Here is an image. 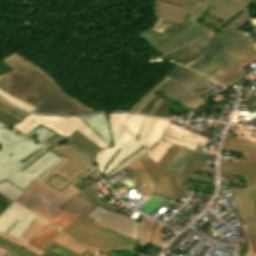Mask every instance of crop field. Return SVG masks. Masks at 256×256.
<instances>
[{
    "label": "crop field",
    "mask_w": 256,
    "mask_h": 256,
    "mask_svg": "<svg viewBox=\"0 0 256 256\" xmlns=\"http://www.w3.org/2000/svg\"><path fill=\"white\" fill-rule=\"evenodd\" d=\"M0 94H1L3 97H5L8 101H10L11 103H13V104L19 106L20 108H22V109H24V110L33 111V110L36 109V107L31 106V105H29V104H26V103H24V102H22V101H20V100H18V99H16V98L12 97L11 95H9L8 93H6V92H4V91H2V90H0Z\"/></svg>",
    "instance_id": "crop-field-43"
},
{
    "label": "crop field",
    "mask_w": 256,
    "mask_h": 256,
    "mask_svg": "<svg viewBox=\"0 0 256 256\" xmlns=\"http://www.w3.org/2000/svg\"><path fill=\"white\" fill-rule=\"evenodd\" d=\"M6 253H7V251H5V250H3V249L0 248V256H3V255L6 254Z\"/></svg>",
    "instance_id": "crop-field-54"
},
{
    "label": "crop field",
    "mask_w": 256,
    "mask_h": 256,
    "mask_svg": "<svg viewBox=\"0 0 256 256\" xmlns=\"http://www.w3.org/2000/svg\"><path fill=\"white\" fill-rule=\"evenodd\" d=\"M149 150L142 148L141 150H139L136 154H134L133 156L129 157L128 159H126L124 162H122L119 166H117L113 171H111L108 175L105 176L104 180L113 176V174L115 172H117L118 170L127 167L130 163L136 161L137 159L141 158L143 155H145L146 153H148Z\"/></svg>",
    "instance_id": "crop-field-38"
},
{
    "label": "crop field",
    "mask_w": 256,
    "mask_h": 256,
    "mask_svg": "<svg viewBox=\"0 0 256 256\" xmlns=\"http://www.w3.org/2000/svg\"><path fill=\"white\" fill-rule=\"evenodd\" d=\"M160 96L166 98L167 100H166L152 115H154V116L169 117L170 114L168 113V106L171 105V103H169L168 101H169V100H172V99H170V98H168V97H166V96H164V95H162V94L159 95V96H156L154 99H152V100L145 106V108L142 110V112H141V111H140V112H141V113L146 112V110L148 109V107L151 106V104H152L154 101H156V99H157L158 97H160ZM173 101H174V100H173ZM174 102H176V101H174ZM178 105L182 106L183 108H185V109L188 110L189 112H192V111H193V110H191V109H189V108H187V107H185V106H183V105H181V104H178Z\"/></svg>",
    "instance_id": "crop-field-33"
},
{
    "label": "crop field",
    "mask_w": 256,
    "mask_h": 256,
    "mask_svg": "<svg viewBox=\"0 0 256 256\" xmlns=\"http://www.w3.org/2000/svg\"><path fill=\"white\" fill-rule=\"evenodd\" d=\"M0 199H2V200H4V201H9V199H7L6 197H4V196H2V195H0ZM9 203H13L12 201L11 202H9Z\"/></svg>",
    "instance_id": "crop-field-53"
},
{
    "label": "crop field",
    "mask_w": 256,
    "mask_h": 256,
    "mask_svg": "<svg viewBox=\"0 0 256 256\" xmlns=\"http://www.w3.org/2000/svg\"><path fill=\"white\" fill-rule=\"evenodd\" d=\"M34 215L30 213V215L23 221H17L7 232L6 234L12 235L14 237L19 238L23 230L27 227V225L31 222Z\"/></svg>",
    "instance_id": "crop-field-37"
},
{
    "label": "crop field",
    "mask_w": 256,
    "mask_h": 256,
    "mask_svg": "<svg viewBox=\"0 0 256 256\" xmlns=\"http://www.w3.org/2000/svg\"><path fill=\"white\" fill-rule=\"evenodd\" d=\"M148 220V217L141 215L137 224H136V240H138L140 245L144 244L145 235H144V223Z\"/></svg>",
    "instance_id": "crop-field-42"
},
{
    "label": "crop field",
    "mask_w": 256,
    "mask_h": 256,
    "mask_svg": "<svg viewBox=\"0 0 256 256\" xmlns=\"http://www.w3.org/2000/svg\"><path fill=\"white\" fill-rule=\"evenodd\" d=\"M48 150L63 157L64 159L41 182L35 179L23 190L25 194L15 201L29 211L34 209L43 199L48 202L59 192L45 184L55 174L71 183L85 172V170L80 168V166L66 159L54 150L50 148Z\"/></svg>",
    "instance_id": "crop-field-5"
},
{
    "label": "crop field",
    "mask_w": 256,
    "mask_h": 256,
    "mask_svg": "<svg viewBox=\"0 0 256 256\" xmlns=\"http://www.w3.org/2000/svg\"><path fill=\"white\" fill-rule=\"evenodd\" d=\"M182 28H183V25L157 17L155 24L152 25L150 29L164 33V34H172V33L179 32Z\"/></svg>",
    "instance_id": "crop-field-28"
},
{
    "label": "crop field",
    "mask_w": 256,
    "mask_h": 256,
    "mask_svg": "<svg viewBox=\"0 0 256 256\" xmlns=\"http://www.w3.org/2000/svg\"><path fill=\"white\" fill-rule=\"evenodd\" d=\"M85 216L96 220L94 224L100 227L106 228L129 238L134 239L135 237V224L137 221L135 219L106 210L98 205Z\"/></svg>",
    "instance_id": "crop-field-9"
},
{
    "label": "crop field",
    "mask_w": 256,
    "mask_h": 256,
    "mask_svg": "<svg viewBox=\"0 0 256 256\" xmlns=\"http://www.w3.org/2000/svg\"><path fill=\"white\" fill-rule=\"evenodd\" d=\"M230 193L243 223L248 227L256 253V184L246 190L231 191Z\"/></svg>",
    "instance_id": "crop-field-10"
},
{
    "label": "crop field",
    "mask_w": 256,
    "mask_h": 256,
    "mask_svg": "<svg viewBox=\"0 0 256 256\" xmlns=\"http://www.w3.org/2000/svg\"><path fill=\"white\" fill-rule=\"evenodd\" d=\"M53 241H55L56 243L80 254L83 255L85 252H87L88 250H85L83 248H80L79 246L71 243L69 240L63 238L62 236H60L59 234L53 239Z\"/></svg>",
    "instance_id": "crop-field-41"
},
{
    "label": "crop field",
    "mask_w": 256,
    "mask_h": 256,
    "mask_svg": "<svg viewBox=\"0 0 256 256\" xmlns=\"http://www.w3.org/2000/svg\"><path fill=\"white\" fill-rule=\"evenodd\" d=\"M170 1H174V2L184 4V5H187V6H191V7L194 5V2L189 1V0H170Z\"/></svg>",
    "instance_id": "crop-field-50"
},
{
    "label": "crop field",
    "mask_w": 256,
    "mask_h": 256,
    "mask_svg": "<svg viewBox=\"0 0 256 256\" xmlns=\"http://www.w3.org/2000/svg\"><path fill=\"white\" fill-rule=\"evenodd\" d=\"M247 22L249 20L244 14L213 37L198 52L205 58L189 68L213 78L220 75L219 71L255 54L256 52L247 44L251 41L238 31Z\"/></svg>",
    "instance_id": "crop-field-4"
},
{
    "label": "crop field",
    "mask_w": 256,
    "mask_h": 256,
    "mask_svg": "<svg viewBox=\"0 0 256 256\" xmlns=\"http://www.w3.org/2000/svg\"><path fill=\"white\" fill-rule=\"evenodd\" d=\"M0 110L6 114L7 116L11 117L12 119L18 121L22 119L27 113L17 110L15 107L9 105L4 100L0 98Z\"/></svg>",
    "instance_id": "crop-field-35"
},
{
    "label": "crop field",
    "mask_w": 256,
    "mask_h": 256,
    "mask_svg": "<svg viewBox=\"0 0 256 256\" xmlns=\"http://www.w3.org/2000/svg\"><path fill=\"white\" fill-rule=\"evenodd\" d=\"M154 13L156 16H160L183 25L191 15V13L187 11L159 3H154Z\"/></svg>",
    "instance_id": "crop-field-25"
},
{
    "label": "crop field",
    "mask_w": 256,
    "mask_h": 256,
    "mask_svg": "<svg viewBox=\"0 0 256 256\" xmlns=\"http://www.w3.org/2000/svg\"><path fill=\"white\" fill-rule=\"evenodd\" d=\"M165 225L149 218V220L145 223V235L146 241L144 247H147L148 243L164 248L167 243L159 240L163 235L160 233ZM156 229V231H155Z\"/></svg>",
    "instance_id": "crop-field-26"
},
{
    "label": "crop field",
    "mask_w": 256,
    "mask_h": 256,
    "mask_svg": "<svg viewBox=\"0 0 256 256\" xmlns=\"http://www.w3.org/2000/svg\"><path fill=\"white\" fill-rule=\"evenodd\" d=\"M2 62L12 70L0 76V88L38 107L35 112L59 114L100 112L69 96L50 73L17 52L3 58Z\"/></svg>",
    "instance_id": "crop-field-2"
},
{
    "label": "crop field",
    "mask_w": 256,
    "mask_h": 256,
    "mask_svg": "<svg viewBox=\"0 0 256 256\" xmlns=\"http://www.w3.org/2000/svg\"><path fill=\"white\" fill-rule=\"evenodd\" d=\"M63 142L71 143L80 149L84 150L91 156L95 153L99 152L101 149L92 144L90 141H88L86 138H84L79 133H75L70 138H62L58 135L52 137L51 139L47 140L44 144L52 145V144H60Z\"/></svg>",
    "instance_id": "crop-field-18"
},
{
    "label": "crop field",
    "mask_w": 256,
    "mask_h": 256,
    "mask_svg": "<svg viewBox=\"0 0 256 256\" xmlns=\"http://www.w3.org/2000/svg\"><path fill=\"white\" fill-rule=\"evenodd\" d=\"M95 206H96V204L87 203L75 196L73 198H71L68 202H66L59 209L79 213L81 215L78 218H76L73 222H71L69 225H67L64 229H62L61 231L66 233L77 222H79L82 218H84L85 217L84 215L87 214Z\"/></svg>",
    "instance_id": "crop-field-20"
},
{
    "label": "crop field",
    "mask_w": 256,
    "mask_h": 256,
    "mask_svg": "<svg viewBox=\"0 0 256 256\" xmlns=\"http://www.w3.org/2000/svg\"><path fill=\"white\" fill-rule=\"evenodd\" d=\"M192 152L193 151H191V150H186V149L181 148L180 151L178 152V154L169 163L167 168L181 172V170L187 163L188 159L191 157Z\"/></svg>",
    "instance_id": "crop-field-29"
},
{
    "label": "crop field",
    "mask_w": 256,
    "mask_h": 256,
    "mask_svg": "<svg viewBox=\"0 0 256 256\" xmlns=\"http://www.w3.org/2000/svg\"><path fill=\"white\" fill-rule=\"evenodd\" d=\"M235 1L240 2V3H243V4H245V5L248 6V4H249V2H250L251 0H235Z\"/></svg>",
    "instance_id": "crop-field-52"
},
{
    "label": "crop field",
    "mask_w": 256,
    "mask_h": 256,
    "mask_svg": "<svg viewBox=\"0 0 256 256\" xmlns=\"http://www.w3.org/2000/svg\"><path fill=\"white\" fill-rule=\"evenodd\" d=\"M50 148L64 155L66 158L72 160L86 170L94 167L91 158L88 157L89 155L87 156L70 145L63 144L59 146H51Z\"/></svg>",
    "instance_id": "crop-field-19"
},
{
    "label": "crop field",
    "mask_w": 256,
    "mask_h": 256,
    "mask_svg": "<svg viewBox=\"0 0 256 256\" xmlns=\"http://www.w3.org/2000/svg\"><path fill=\"white\" fill-rule=\"evenodd\" d=\"M113 146L109 147L79 117L41 116L30 114L12 128L27 135L36 134L38 142L58 134L70 137L76 131L103 150L93 160L98 173L108 174L142 147L151 149L166 131L171 121L128 113L107 114Z\"/></svg>",
    "instance_id": "crop-field-1"
},
{
    "label": "crop field",
    "mask_w": 256,
    "mask_h": 256,
    "mask_svg": "<svg viewBox=\"0 0 256 256\" xmlns=\"http://www.w3.org/2000/svg\"><path fill=\"white\" fill-rule=\"evenodd\" d=\"M104 252H107L116 256H134L137 254L133 251L130 252L129 250H126V249H115V250H108Z\"/></svg>",
    "instance_id": "crop-field-45"
},
{
    "label": "crop field",
    "mask_w": 256,
    "mask_h": 256,
    "mask_svg": "<svg viewBox=\"0 0 256 256\" xmlns=\"http://www.w3.org/2000/svg\"><path fill=\"white\" fill-rule=\"evenodd\" d=\"M165 136H168L170 138H173V139H177V140H180V141H183V142H187V143H190V144H195V145H200V146H204L205 147V144H201V143H198V142H195V141H191V140H188V139H185L175 133H172V132H169L167 131L165 133Z\"/></svg>",
    "instance_id": "crop-field-47"
},
{
    "label": "crop field",
    "mask_w": 256,
    "mask_h": 256,
    "mask_svg": "<svg viewBox=\"0 0 256 256\" xmlns=\"http://www.w3.org/2000/svg\"><path fill=\"white\" fill-rule=\"evenodd\" d=\"M109 145H112L106 114L80 117Z\"/></svg>",
    "instance_id": "crop-field-21"
},
{
    "label": "crop field",
    "mask_w": 256,
    "mask_h": 256,
    "mask_svg": "<svg viewBox=\"0 0 256 256\" xmlns=\"http://www.w3.org/2000/svg\"><path fill=\"white\" fill-rule=\"evenodd\" d=\"M58 233V230L48 224L29 244L42 249Z\"/></svg>",
    "instance_id": "crop-field-27"
},
{
    "label": "crop field",
    "mask_w": 256,
    "mask_h": 256,
    "mask_svg": "<svg viewBox=\"0 0 256 256\" xmlns=\"http://www.w3.org/2000/svg\"><path fill=\"white\" fill-rule=\"evenodd\" d=\"M79 198L91 202V203H96L99 204L102 200L97 196L95 191L92 189V187L89 185L83 190H81L78 194H76Z\"/></svg>",
    "instance_id": "crop-field-39"
},
{
    "label": "crop field",
    "mask_w": 256,
    "mask_h": 256,
    "mask_svg": "<svg viewBox=\"0 0 256 256\" xmlns=\"http://www.w3.org/2000/svg\"><path fill=\"white\" fill-rule=\"evenodd\" d=\"M188 183V181L162 174L155 193L175 202Z\"/></svg>",
    "instance_id": "crop-field-15"
},
{
    "label": "crop field",
    "mask_w": 256,
    "mask_h": 256,
    "mask_svg": "<svg viewBox=\"0 0 256 256\" xmlns=\"http://www.w3.org/2000/svg\"><path fill=\"white\" fill-rule=\"evenodd\" d=\"M46 184L50 185L51 187L57 189V190H62L64 187L69 185L70 183L62 180L58 176H54L51 180H49Z\"/></svg>",
    "instance_id": "crop-field-44"
},
{
    "label": "crop field",
    "mask_w": 256,
    "mask_h": 256,
    "mask_svg": "<svg viewBox=\"0 0 256 256\" xmlns=\"http://www.w3.org/2000/svg\"><path fill=\"white\" fill-rule=\"evenodd\" d=\"M156 2L164 3V4H167V5L177 7V8H180V9H184V10H188V11L191 9V7L180 5V4L170 2V1H167V0H156Z\"/></svg>",
    "instance_id": "crop-field-49"
},
{
    "label": "crop field",
    "mask_w": 256,
    "mask_h": 256,
    "mask_svg": "<svg viewBox=\"0 0 256 256\" xmlns=\"http://www.w3.org/2000/svg\"><path fill=\"white\" fill-rule=\"evenodd\" d=\"M255 60H256V54L230 68H227L221 71L222 75L213 78V80H215L216 82L220 83L223 86H227L229 84H233L237 81H240L246 77V74L242 68L252 63Z\"/></svg>",
    "instance_id": "crop-field-17"
},
{
    "label": "crop field",
    "mask_w": 256,
    "mask_h": 256,
    "mask_svg": "<svg viewBox=\"0 0 256 256\" xmlns=\"http://www.w3.org/2000/svg\"><path fill=\"white\" fill-rule=\"evenodd\" d=\"M41 256H47V255L44 253V254H42Z\"/></svg>",
    "instance_id": "crop-field-56"
},
{
    "label": "crop field",
    "mask_w": 256,
    "mask_h": 256,
    "mask_svg": "<svg viewBox=\"0 0 256 256\" xmlns=\"http://www.w3.org/2000/svg\"><path fill=\"white\" fill-rule=\"evenodd\" d=\"M171 144L166 143L164 141H160L155 148L146 154L148 157L152 158L156 163L159 161V159L162 157V155L165 153V151L169 148Z\"/></svg>",
    "instance_id": "crop-field-40"
},
{
    "label": "crop field",
    "mask_w": 256,
    "mask_h": 256,
    "mask_svg": "<svg viewBox=\"0 0 256 256\" xmlns=\"http://www.w3.org/2000/svg\"><path fill=\"white\" fill-rule=\"evenodd\" d=\"M10 128L0 129V193L17 200L35 178L42 180L62 158Z\"/></svg>",
    "instance_id": "crop-field-3"
},
{
    "label": "crop field",
    "mask_w": 256,
    "mask_h": 256,
    "mask_svg": "<svg viewBox=\"0 0 256 256\" xmlns=\"http://www.w3.org/2000/svg\"><path fill=\"white\" fill-rule=\"evenodd\" d=\"M0 126H1V127H3V126H5V125H4V124H2V123H0Z\"/></svg>",
    "instance_id": "crop-field-55"
},
{
    "label": "crop field",
    "mask_w": 256,
    "mask_h": 256,
    "mask_svg": "<svg viewBox=\"0 0 256 256\" xmlns=\"http://www.w3.org/2000/svg\"><path fill=\"white\" fill-rule=\"evenodd\" d=\"M46 225L47 223L34 217L32 222L24 230L19 239L3 234L1 232L0 237L39 256L43 253V251L27 243L31 241Z\"/></svg>",
    "instance_id": "crop-field-14"
},
{
    "label": "crop field",
    "mask_w": 256,
    "mask_h": 256,
    "mask_svg": "<svg viewBox=\"0 0 256 256\" xmlns=\"http://www.w3.org/2000/svg\"><path fill=\"white\" fill-rule=\"evenodd\" d=\"M179 149V147L171 145L157 164L152 159L148 158L146 155L139 159L144 168L147 170V172L150 174V176L156 183L154 191L156 189L157 183L162 172L186 180L188 174L191 171H200L202 163L207 154L195 151L193 152L192 157L189 159L188 163L186 164L181 173L165 168L167 164L172 160V158L177 154Z\"/></svg>",
    "instance_id": "crop-field-7"
},
{
    "label": "crop field",
    "mask_w": 256,
    "mask_h": 256,
    "mask_svg": "<svg viewBox=\"0 0 256 256\" xmlns=\"http://www.w3.org/2000/svg\"><path fill=\"white\" fill-rule=\"evenodd\" d=\"M0 247L8 250L9 252L4 256H35L15 245L8 243L5 240L0 239Z\"/></svg>",
    "instance_id": "crop-field-36"
},
{
    "label": "crop field",
    "mask_w": 256,
    "mask_h": 256,
    "mask_svg": "<svg viewBox=\"0 0 256 256\" xmlns=\"http://www.w3.org/2000/svg\"><path fill=\"white\" fill-rule=\"evenodd\" d=\"M196 26H197L196 23H194L188 19V21L185 24V27L177 34L164 35V34L157 33V32L151 31V30H146V31L142 32L140 34V36L146 42H148L150 45H152L158 53L162 54L163 56L167 57L168 59H170L178 64L185 65L201 56L198 53H196L195 51H193L191 48H189L188 46L179 51H176L168 56H166L164 53H162L158 48L191 32Z\"/></svg>",
    "instance_id": "crop-field-8"
},
{
    "label": "crop field",
    "mask_w": 256,
    "mask_h": 256,
    "mask_svg": "<svg viewBox=\"0 0 256 256\" xmlns=\"http://www.w3.org/2000/svg\"><path fill=\"white\" fill-rule=\"evenodd\" d=\"M161 139H162V138H161ZM162 140H164V141H166V142H170V143H173V144H177V145L183 146V147H185V148H190V149H193V150H195V148H196V146H194V145H190V144H186V143H183V142H180V141H176V140L167 138V137H165V136L163 137Z\"/></svg>",
    "instance_id": "crop-field-48"
},
{
    "label": "crop field",
    "mask_w": 256,
    "mask_h": 256,
    "mask_svg": "<svg viewBox=\"0 0 256 256\" xmlns=\"http://www.w3.org/2000/svg\"><path fill=\"white\" fill-rule=\"evenodd\" d=\"M202 3L211 7L209 14L225 21L235 12L244 9L246 10V6L237 3L232 0H199Z\"/></svg>",
    "instance_id": "crop-field-16"
},
{
    "label": "crop field",
    "mask_w": 256,
    "mask_h": 256,
    "mask_svg": "<svg viewBox=\"0 0 256 256\" xmlns=\"http://www.w3.org/2000/svg\"><path fill=\"white\" fill-rule=\"evenodd\" d=\"M245 145L256 148L255 143L234 139L226 136L222 145V149L241 153Z\"/></svg>",
    "instance_id": "crop-field-30"
},
{
    "label": "crop field",
    "mask_w": 256,
    "mask_h": 256,
    "mask_svg": "<svg viewBox=\"0 0 256 256\" xmlns=\"http://www.w3.org/2000/svg\"><path fill=\"white\" fill-rule=\"evenodd\" d=\"M168 76L172 77L176 81H178L188 87L207 79V77H205L193 70L182 67L180 65H176Z\"/></svg>",
    "instance_id": "crop-field-23"
},
{
    "label": "crop field",
    "mask_w": 256,
    "mask_h": 256,
    "mask_svg": "<svg viewBox=\"0 0 256 256\" xmlns=\"http://www.w3.org/2000/svg\"><path fill=\"white\" fill-rule=\"evenodd\" d=\"M29 213L17 204H11L0 216V231L5 233L17 220L25 219Z\"/></svg>",
    "instance_id": "crop-field-22"
},
{
    "label": "crop field",
    "mask_w": 256,
    "mask_h": 256,
    "mask_svg": "<svg viewBox=\"0 0 256 256\" xmlns=\"http://www.w3.org/2000/svg\"><path fill=\"white\" fill-rule=\"evenodd\" d=\"M131 167L136 172L138 177L141 179V181L144 183V185L149 189V191L152 193L155 183L149 176V174L146 172V170L143 168L141 163L138 161L131 164Z\"/></svg>",
    "instance_id": "crop-field-31"
},
{
    "label": "crop field",
    "mask_w": 256,
    "mask_h": 256,
    "mask_svg": "<svg viewBox=\"0 0 256 256\" xmlns=\"http://www.w3.org/2000/svg\"><path fill=\"white\" fill-rule=\"evenodd\" d=\"M192 1L196 2L197 0H192Z\"/></svg>",
    "instance_id": "crop-field-58"
},
{
    "label": "crop field",
    "mask_w": 256,
    "mask_h": 256,
    "mask_svg": "<svg viewBox=\"0 0 256 256\" xmlns=\"http://www.w3.org/2000/svg\"><path fill=\"white\" fill-rule=\"evenodd\" d=\"M210 33L209 31L205 30L201 26H197L190 34L160 48L166 55L194 42L195 40L203 37L204 35Z\"/></svg>",
    "instance_id": "crop-field-24"
},
{
    "label": "crop field",
    "mask_w": 256,
    "mask_h": 256,
    "mask_svg": "<svg viewBox=\"0 0 256 256\" xmlns=\"http://www.w3.org/2000/svg\"><path fill=\"white\" fill-rule=\"evenodd\" d=\"M213 82L211 79L189 89L184 85L176 82L175 80L169 81L165 86L158 90V92L163 93L170 98L178 101L179 103L195 110L205 104L206 101L200 97L194 91Z\"/></svg>",
    "instance_id": "crop-field-11"
},
{
    "label": "crop field",
    "mask_w": 256,
    "mask_h": 256,
    "mask_svg": "<svg viewBox=\"0 0 256 256\" xmlns=\"http://www.w3.org/2000/svg\"><path fill=\"white\" fill-rule=\"evenodd\" d=\"M78 214L70 213V212H64L61 211L51 222L53 226L57 227L58 229H62L65 227L68 223H70L72 220H74Z\"/></svg>",
    "instance_id": "crop-field-34"
},
{
    "label": "crop field",
    "mask_w": 256,
    "mask_h": 256,
    "mask_svg": "<svg viewBox=\"0 0 256 256\" xmlns=\"http://www.w3.org/2000/svg\"><path fill=\"white\" fill-rule=\"evenodd\" d=\"M243 229L245 231L246 239L248 241V249H247V253L245 254V256H256L255 253H254V246H253V243H252V241L250 239V236L248 234L246 225H243Z\"/></svg>",
    "instance_id": "crop-field-46"
},
{
    "label": "crop field",
    "mask_w": 256,
    "mask_h": 256,
    "mask_svg": "<svg viewBox=\"0 0 256 256\" xmlns=\"http://www.w3.org/2000/svg\"><path fill=\"white\" fill-rule=\"evenodd\" d=\"M94 220L85 217L66 234L74 240L96 249L129 248L135 251L136 240L126 238L92 224Z\"/></svg>",
    "instance_id": "crop-field-6"
},
{
    "label": "crop field",
    "mask_w": 256,
    "mask_h": 256,
    "mask_svg": "<svg viewBox=\"0 0 256 256\" xmlns=\"http://www.w3.org/2000/svg\"><path fill=\"white\" fill-rule=\"evenodd\" d=\"M10 70L9 67H7L4 63L0 62V74Z\"/></svg>",
    "instance_id": "crop-field-51"
},
{
    "label": "crop field",
    "mask_w": 256,
    "mask_h": 256,
    "mask_svg": "<svg viewBox=\"0 0 256 256\" xmlns=\"http://www.w3.org/2000/svg\"><path fill=\"white\" fill-rule=\"evenodd\" d=\"M253 2L256 4V0H253Z\"/></svg>",
    "instance_id": "crop-field-57"
},
{
    "label": "crop field",
    "mask_w": 256,
    "mask_h": 256,
    "mask_svg": "<svg viewBox=\"0 0 256 256\" xmlns=\"http://www.w3.org/2000/svg\"><path fill=\"white\" fill-rule=\"evenodd\" d=\"M220 173L245 175L246 187L256 182V149L246 146L238 163L221 160Z\"/></svg>",
    "instance_id": "crop-field-12"
},
{
    "label": "crop field",
    "mask_w": 256,
    "mask_h": 256,
    "mask_svg": "<svg viewBox=\"0 0 256 256\" xmlns=\"http://www.w3.org/2000/svg\"><path fill=\"white\" fill-rule=\"evenodd\" d=\"M49 256H80L54 242H50L43 250Z\"/></svg>",
    "instance_id": "crop-field-32"
},
{
    "label": "crop field",
    "mask_w": 256,
    "mask_h": 256,
    "mask_svg": "<svg viewBox=\"0 0 256 256\" xmlns=\"http://www.w3.org/2000/svg\"><path fill=\"white\" fill-rule=\"evenodd\" d=\"M92 171H94V168L86 171L69 186H67L56 196H54L48 203L43 200L34 210L30 212L49 223L60 212V210H58L57 208L63 205L66 201H68L71 197L79 192V190L73 188L72 186Z\"/></svg>",
    "instance_id": "crop-field-13"
}]
</instances>
